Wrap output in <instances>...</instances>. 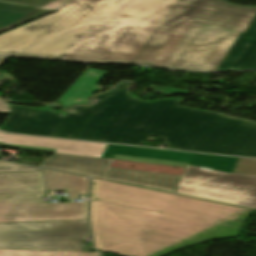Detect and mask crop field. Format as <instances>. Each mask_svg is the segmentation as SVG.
I'll list each match as a JSON object with an SVG mask.
<instances>
[{"instance_id":"obj_16","label":"crop field","mask_w":256,"mask_h":256,"mask_svg":"<svg viewBox=\"0 0 256 256\" xmlns=\"http://www.w3.org/2000/svg\"><path fill=\"white\" fill-rule=\"evenodd\" d=\"M68 0H55L43 7L42 9L58 11Z\"/></svg>"},{"instance_id":"obj_5","label":"crop field","mask_w":256,"mask_h":256,"mask_svg":"<svg viewBox=\"0 0 256 256\" xmlns=\"http://www.w3.org/2000/svg\"><path fill=\"white\" fill-rule=\"evenodd\" d=\"M40 172L0 173V223L87 219V202L44 203Z\"/></svg>"},{"instance_id":"obj_3","label":"crop field","mask_w":256,"mask_h":256,"mask_svg":"<svg viewBox=\"0 0 256 256\" xmlns=\"http://www.w3.org/2000/svg\"><path fill=\"white\" fill-rule=\"evenodd\" d=\"M251 210L92 179L97 249L164 256L207 240L237 237Z\"/></svg>"},{"instance_id":"obj_6","label":"crop field","mask_w":256,"mask_h":256,"mask_svg":"<svg viewBox=\"0 0 256 256\" xmlns=\"http://www.w3.org/2000/svg\"><path fill=\"white\" fill-rule=\"evenodd\" d=\"M87 220L0 224V249L83 251Z\"/></svg>"},{"instance_id":"obj_1","label":"crop field","mask_w":256,"mask_h":256,"mask_svg":"<svg viewBox=\"0 0 256 256\" xmlns=\"http://www.w3.org/2000/svg\"><path fill=\"white\" fill-rule=\"evenodd\" d=\"M0 55L182 70L256 68V7L221 0H69L0 35Z\"/></svg>"},{"instance_id":"obj_10","label":"crop field","mask_w":256,"mask_h":256,"mask_svg":"<svg viewBox=\"0 0 256 256\" xmlns=\"http://www.w3.org/2000/svg\"><path fill=\"white\" fill-rule=\"evenodd\" d=\"M106 72L87 69L80 78L60 97L59 103L64 108L72 104H90L88 98L96 91L100 93L108 87L101 89L97 83L106 75ZM111 87V86H110ZM96 93V94H97Z\"/></svg>"},{"instance_id":"obj_18","label":"crop field","mask_w":256,"mask_h":256,"mask_svg":"<svg viewBox=\"0 0 256 256\" xmlns=\"http://www.w3.org/2000/svg\"><path fill=\"white\" fill-rule=\"evenodd\" d=\"M189 91L187 90H180V89H174V88H169L166 87L164 93H168V94H183V93H188Z\"/></svg>"},{"instance_id":"obj_8","label":"crop field","mask_w":256,"mask_h":256,"mask_svg":"<svg viewBox=\"0 0 256 256\" xmlns=\"http://www.w3.org/2000/svg\"><path fill=\"white\" fill-rule=\"evenodd\" d=\"M182 176L109 168L104 179L174 193Z\"/></svg>"},{"instance_id":"obj_14","label":"crop field","mask_w":256,"mask_h":256,"mask_svg":"<svg viewBox=\"0 0 256 256\" xmlns=\"http://www.w3.org/2000/svg\"><path fill=\"white\" fill-rule=\"evenodd\" d=\"M52 13H54V11L38 9V10H36V11H34V12H32V13H30V14H28V15H26V16H24V17H22V18H20L16 21L8 24L7 26L1 28L0 29V34H3L7 31L15 29L19 26H22V25L27 24L29 22H32L34 20L40 19V18L45 17L47 15H50Z\"/></svg>"},{"instance_id":"obj_4","label":"crop field","mask_w":256,"mask_h":256,"mask_svg":"<svg viewBox=\"0 0 256 256\" xmlns=\"http://www.w3.org/2000/svg\"><path fill=\"white\" fill-rule=\"evenodd\" d=\"M0 144L6 147L50 151L61 154L94 156L182 167L190 165L230 173L233 172L239 159L110 144L34 138L8 135L1 132Z\"/></svg>"},{"instance_id":"obj_13","label":"crop field","mask_w":256,"mask_h":256,"mask_svg":"<svg viewBox=\"0 0 256 256\" xmlns=\"http://www.w3.org/2000/svg\"><path fill=\"white\" fill-rule=\"evenodd\" d=\"M0 256H97L91 252L0 250Z\"/></svg>"},{"instance_id":"obj_2","label":"crop field","mask_w":256,"mask_h":256,"mask_svg":"<svg viewBox=\"0 0 256 256\" xmlns=\"http://www.w3.org/2000/svg\"><path fill=\"white\" fill-rule=\"evenodd\" d=\"M132 83L73 107L65 116L10 106L0 130L141 146L148 136L164 138L167 148L256 158V123L180 106L182 99L144 103L132 97Z\"/></svg>"},{"instance_id":"obj_9","label":"crop field","mask_w":256,"mask_h":256,"mask_svg":"<svg viewBox=\"0 0 256 256\" xmlns=\"http://www.w3.org/2000/svg\"><path fill=\"white\" fill-rule=\"evenodd\" d=\"M111 161L55 154L40 166L103 179Z\"/></svg>"},{"instance_id":"obj_19","label":"crop field","mask_w":256,"mask_h":256,"mask_svg":"<svg viewBox=\"0 0 256 256\" xmlns=\"http://www.w3.org/2000/svg\"><path fill=\"white\" fill-rule=\"evenodd\" d=\"M0 112H10L7 101L0 98Z\"/></svg>"},{"instance_id":"obj_7","label":"crop field","mask_w":256,"mask_h":256,"mask_svg":"<svg viewBox=\"0 0 256 256\" xmlns=\"http://www.w3.org/2000/svg\"><path fill=\"white\" fill-rule=\"evenodd\" d=\"M187 167L177 193L239 206L256 207V176Z\"/></svg>"},{"instance_id":"obj_12","label":"crop field","mask_w":256,"mask_h":256,"mask_svg":"<svg viewBox=\"0 0 256 256\" xmlns=\"http://www.w3.org/2000/svg\"><path fill=\"white\" fill-rule=\"evenodd\" d=\"M53 0H0V28Z\"/></svg>"},{"instance_id":"obj_11","label":"crop field","mask_w":256,"mask_h":256,"mask_svg":"<svg viewBox=\"0 0 256 256\" xmlns=\"http://www.w3.org/2000/svg\"><path fill=\"white\" fill-rule=\"evenodd\" d=\"M46 190L67 189L68 198L87 193L88 178L43 170Z\"/></svg>"},{"instance_id":"obj_17","label":"crop field","mask_w":256,"mask_h":256,"mask_svg":"<svg viewBox=\"0 0 256 256\" xmlns=\"http://www.w3.org/2000/svg\"><path fill=\"white\" fill-rule=\"evenodd\" d=\"M6 58H8V57H0V64ZM1 73H2V75L0 76V81L10 80V81L16 82V80L13 77H11L10 75H8L7 73H5V72H1Z\"/></svg>"},{"instance_id":"obj_15","label":"crop field","mask_w":256,"mask_h":256,"mask_svg":"<svg viewBox=\"0 0 256 256\" xmlns=\"http://www.w3.org/2000/svg\"><path fill=\"white\" fill-rule=\"evenodd\" d=\"M40 171L39 168L0 161V172Z\"/></svg>"}]
</instances>
